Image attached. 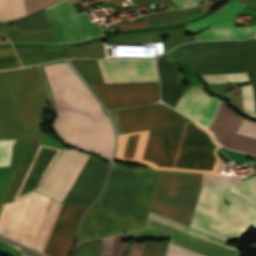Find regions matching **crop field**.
<instances>
[{
	"label": "crop field",
	"mask_w": 256,
	"mask_h": 256,
	"mask_svg": "<svg viewBox=\"0 0 256 256\" xmlns=\"http://www.w3.org/2000/svg\"><path fill=\"white\" fill-rule=\"evenodd\" d=\"M219 144L205 128L185 124L119 135L116 160L141 162L152 169L214 173ZM216 174H225L219 159Z\"/></svg>",
	"instance_id": "crop-field-2"
},
{
	"label": "crop field",
	"mask_w": 256,
	"mask_h": 256,
	"mask_svg": "<svg viewBox=\"0 0 256 256\" xmlns=\"http://www.w3.org/2000/svg\"><path fill=\"white\" fill-rule=\"evenodd\" d=\"M0 43H4V42H0Z\"/></svg>",
	"instance_id": "crop-field-45"
},
{
	"label": "crop field",
	"mask_w": 256,
	"mask_h": 256,
	"mask_svg": "<svg viewBox=\"0 0 256 256\" xmlns=\"http://www.w3.org/2000/svg\"><path fill=\"white\" fill-rule=\"evenodd\" d=\"M137 236L168 237L171 238L170 245L203 256H239L237 248L223 245L225 241L151 212L145 228L126 232L124 235ZM170 245L166 256H200Z\"/></svg>",
	"instance_id": "crop-field-6"
},
{
	"label": "crop field",
	"mask_w": 256,
	"mask_h": 256,
	"mask_svg": "<svg viewBox=\"0 0 256 256\" xmlns=\"http://www.w3.org/2000/svg\"><path fill=\"white\" fill-rule=\"evenodd\" d=\"M89 207L64 204L44 253L49 256H69L78 223Z\"/></svg>",
	"instance_id": "crop-field-14"
},
{
	"label": "crop field",
	"mask_w": 256,
	"mask_h": 256,
	"mask_svg": "<svg viewBox=\"0 0 256 256\" xmlns=\"http://www.w3.org/2000/svg\"><path fill=\"white\" fill-rule=\"evenodd\" d=\"M47 94L38 66L0 72V139H19L41 127Z\"/></svg>",
	"instance_id": "crop-field-5"
},
{
	"label": "crop field",
	"mask_w": 256,
	"mask_h": 256,
	"mask_svg": "<svg viewBox=\"0 0 256 256\" xmlns=\"http://www.w3.org/2000/svg\"><path fill=\"white\" fill-rule=\"evenodd\" d=\"M10 23L13 26L0 24V31L12 42L58 43L44 9Z\"/></svg>",
	"instance_id": "crop-field-16"
},
{
	"label": "crop field",
	"mask_w": 256,
	"mask_h": 256,
	"mask_svg": "<svg viewBox=\"0 0 256 256\" xmlns=\"http://www.w3.org/2000/svg\"><path fill=\"white\" fill-rule=\"evenodd\" d=\"M115 7L122 5L120 0H112Z\"/></svg>",
	"instance_id": "crop-field-43"
},
{
	"label": "crop field",
	"mask_w": 256,
	"mask_h": 256,
	"mask_svg": "<svg viewBox=\"0 0 256 256\" xmlns=\"http://www.w3.org/2000/svg\"><path fill=\"white\" fill-rule=\"evenodd\" d=\"M175 3H177L181 8L188 7L192 5H196L208 0H173Z\"/></svg>",
	"instance_id": "crop-field-40"
},
{
	"label": "crop field",
	"mask_w": 256,
	"mask_h": 256,
	"mask_svg": "<svg viewBox=\"0 0 256 256\" xmlns=\"http://www.w3.org/2000/svg\"><path fill=\"white\" fill-rule=\"evenodd\" d=\"M105 83L158 81L154 59L98 61Z\"/></svg>",
	"instance_id": "crop-field-13"
},
{
	"label": "crop field",
	"mask_w": 256,
	"mask_h": 256,
	"mask_svg": "<svg viewBox=\"0 0 256 256\" xmlns=\"http://www.w3.org/2000/svg\"><path fill=\"white\" fill-rule=\"evenodd\" d=\"M57 206H58V202L55 201L54 204H53V206H52V209H51V211H50V214H49V216H48V218H47V221H46V223H45V225H44V228H43V230H42V233H41V235H40V237H39V241H38V243H37V245H36V249H38V250H40V247H41V245H42V242H43V240H44V237H45V235H46V232H47V230H48V227H49V225H50V222H51V220H52V218H53V215H54V213H55V210H56Z\"/></svg>",
	"instance_id": "crop-field-34"
},
{
	"label": "crop field",
	"mask_w": 256,
	"mask_h": 256,
	"mask_svg": "<svg viewBox=\"0 0 256 256\" xmlns=\"http://www.w3.org/2000/svg\"><path fill=\"white\" fill-rule=\"evenodd\" d=\"M16 140H0V166H10L12 145Z\"/></svg>",
	"instance_id": "crop-field-29"
},
{
	"label": "crop field",
	"mask_w": 256,
	"mask_h": 256,
	"mask_svg": "<svg viewBox=\"0 0 256 256\" xmlns=\"http://www.w3.org/2000/svg\"><path fill=\"white\" fill-rule=\"evenodd\" d=\"M242 119L222 101L209 129L222 145L256 155V139L235 134Z\"/></svg>",
	"instance_id": "crop-field-15"
},
{
	"label": "crop field",
	"mask_w": 256,
	"mask_h": 256,
	"mask_svg": "<svg viewBox=\"0 0 256 256\" xmlns=\"http://www.w3.org/2000/svg\"><path fill=\"white\" fill-rule=\"evenodd\" d=\"M168 242L147 241L143 256H165Z\"/></svg>",
	"instance_id": "crop-field-27"
},
{
	"label": "crop field",
	"mask_w": 256,
	"mask_h": 256,
	"mask_svg": "<svg viewBox=\"0 0 256 256\" xmlns=\"http://www.w3.org/2000/svg\"><path fill=\"white\" fill-rule=\"evenodd\" d=\"M238 191L244 193L245 195L256 201V176L242 181L238 188Z\"/></svg>",
	"instance_id": "crop-field-30"
},
{
	"label": "crop field",
	"mask_w": 256,
	"mask_h": 256,
	"mask_svg": "<svg viewBox=\"0 0 256 256\" xmlns=\"http://www.w3.org/2000/svg\"><path fill=\"white\" fill-rule=\"evenodd\" d=\"M145 242H143L141 244L135 243L134 248H133L130 256H142L144 246H145Z\"/></svg>",
	"instance_id": "crop-field-41"
},
{
	"label": "crop field",
	"mask_w": 256,
	"mask_h": 256,
	"mask_svg": "<svg viewBox=\"0 0 256 256\" xmlns=\"http://www.w3.org/2000/svg\"><path fill=\"white\" fill-rule=\"evenodd\" d=\"M112 237L103 239L104 248H103L102 256H110L111 255V253H112Z\"/></svg>",
	"instance_id": "crop-field-39"
},
{
	"label": "crop field",
	"mask_w": 256,
	"mask_h": 256,
	"mask_svg": "<svg viewBox=\"0 0 256 256\" xmlns=\"http://www.w3.org/2000/svg\"><path fill=\"white\" fill-rule=\"evenodd\" d=\"M54 6L71 42L81 41L100 35L102 28L97 23L91 22L85 11L77 14L67 0L54 4ZM54 6L52 5L45 10L53 25L58 42H70Z\"/></svg>",
	"instance_id": "crop-field-11"
},
{
	"label": "crop field",
	"mask_w": 256,
	"mask_h": 256,
	"mask_svg": "<svg viewBox=\"0 0 256 256\" xmlns=\"http://www.w3.org/2000/svg\"><path fill=\"white\" fill-rule=\"evenodd\" d=\"M57 117L54 130L68 145L111 159L114 132L100 104L67 63L44 66Z\"/></svg>",
	"instance_id": "crop-field-3"
},
{
	"label": "crop field",
	"mask_w": 256,
	"mask_h": 256,
	"mask_svg": "<svg viewBox=\"0 0 256 256\" xmlns=\"http://www.w3.org/2000/svg\"><path fill=\"white\" fill-rule=\"evenodd\" d=\"M131 1L133 3L134 7L141 6L143 4H150V3L159 2V1H166L169 9L179 8L177 5H175L170 0H131Z\"/></svg>",
	"instance_id": "crop-field-37"
},
{
	"label": "crop field",
	"mask_w": 256,
	"mask_h": 256,
	"mask_svg": "<svg viewBox=\"0 0 256 256\" xmlns=\"http://www.w3.org/2000/svg\"><path fill=\"white\" fill-rule=\"evenodd\" d=\"M158 68L162 83V101L175 108L184 89L179 86L173 61L164 55L158 60Z\"/></svg>",
	"instance_id": "crop-field-18"
},
{
	"label": "crop field",
	"mask_w": 256,
	"mask_h": 256,
	"mask_svg": "<svg viewBox=\"0 0 256 256\" xmlns=\"http://www.w3.org/2000/svg\"><path fill=\"white\" fill-rule=\"evenodd\" d=\"M127 243L122 244V234L114 236L112 256H121L127 246Z\"/></svg>",
	"instance_id": "crop-field-35"
},
{
	"label": "crop field",
	"mask_w": 256,
	"mask_h": 256,
	"mask_svg": "<svg viewBox=\"0 0 256 256\" xmlns=\"http://www.w3.org/2000/svg\"><path fill=\"white\" fill-rule=\"evenodd\" d=\"M202 13H204V11L199 6H196L189 9H180L155 13L154 15L149 16L146 19L151 26L157 24H166L188 20Z\"/></svg>",
	"instance_id": "crop-field-21"
},
{
	"label": "crop field",
	"mask_w": 256,
	"mask_h": 256,
	"mask_svg": "<svg viewBox=\"0 0 256 256\" xmlns=\"http://www.w3.org/2000/svg\"><path fill=\"white\" fill-rule=\"evenodd\" d=\"M88 158L85 153L64 147L36 191L63 202Z\"/></svg>",
	"instance_id": "crop-field-9"
},
{
	"label": "crop field",
	"mask_w": 256,
	"mask_h": 256,
	"mask_svg": "<svg viewBox=\"0 0 256 256\" xmlns=\"http://www.w3.org/2000/svg\"><path fill=\"white\" fill-rule=\"evenodd\" d=\"M256 38V37H255Z\"/></svg>",
	"instance_id": "crop-field-47"
},
{
	"label": "crop field",
	"mask_w": 256,
	"mask_h": 256,
	"mask_svg": "<svg viewBox=\"0 0 256 256\" xmlns=\"http://www.w3.org/2000/svg\"><path fill=\"white\" fill-rule=\"evenodd\" d=\"M210 99L195 85L184 90L175 109L199 122Z\"/></svg>",
	"instance_id": "crop-field-19"
},
{
	"label": "crop field",
	"mask_w": 256,
	"mask_h": 256,
	"mask_svg": "<svg viewBox=\"0 0 256 256\" xmlns=\"http://www.w3.org/2000/svg\"><path fill=\"white\" fill-rule=\"evenodd\" d=\"M252 86H253L254 100H255V107H256V84H254ZM241 90H242V95H243L244 110L255 112L251 85L243 86V87H241Z\"/></svg>",
	"instance_id": "crop-field-28"
},
{
	"label": "crop field",
	"mask_w": 256,
	"mask_h": 256,
	"mask_svg": "<svg viewBox=\"0 0 256 256\" xmlns=\"http://www.w3.org/2000/svg\"><path fill=\"white\" fill-rule=\"evenodd\" d=\"M119 134L191 123L163 104H151L112 112Z\"/></svg>",
	"instance_id": "crop-field-8"
},
{
	"label": "crop field",
	"mask_w": 256,
	"mask_h": 256,
	"mask_svg": "<svg viewBox=\"0 0 256 256\" xmlns=\"http://www.w3.org/2000/svg\"><path fill=\"white\" fill-rule=\"evenodd\" d=\"M159 172L113 163L102 200L83 221L79 243L144 227Z\"/></svg>",
	"instance_id": "crop-field-4"
},
{
	"label": "crop field",
	"mask_w": 256,
	"mask_h": 256,
	"mask_svg": "<svg viewBox=\"0 0 256 256\" xmlns=\"http://www.w3.org/2000/svg\"><path fill=\"white\" fill-rule=\"evenodd\" d=\"M116 26L119 28V30H125V29L137 28V27H145L149 25L146 21H141V22L117 24Z\"/></svg>",
	"instance_id": "crop-field-38"
},
{
	"label": "crop field",
	"mask_w": 256,
	"mask_h": 256,
	"mask_svg": "<svg viewBox=\"0 0 256 256\" xmlns=\"http://www.w3.org/2000/svg\"><path fill=\"white\" fill-rule=\"evenodd\" d=\"M219 101H220L219 99L212 97V100H211L207 110L205 111V113L200 121V124H202L204 126H207L209 124V122L211 121V119L217 109Z\"/></svg>",
	"instance_id": "crop-field-31"
},
{
	"label": "crop field",
	"mask_w": 256,
	"mask_h": 256,
	"mask_svg": "<svg viewBox=\"0 0 256 256\" xmlns=\"http://www.w3.org/2000/svg\"><path fill=\"white\" fill-rule=\"evenodd\" d=\"M237 134L256 138V124L244 119Z\"/></svg>",
	"instance_id": "crop-field-33"
},
{
	"label": "crop field",
	"mask_w": 256,
	"mask_h": 256,
	"mask_svg": "<svg viewBox=\"0 0 256 256\" xmlns=\"http://www.w3.org/2000/svg\"><path fill=\"white\" fill-rule=\"evenodd\" d=\"M25 15L23 0H0V21Z\"/></svg>",
	"instance_id": "crop-field-23"
},
{
	"label": "crop field",
	"mask_w": 256,
	"mask_h": 256,
	"mask_svg": "<svg viewBox=\"0 0 256 256\" xmlns=\"http://www.w3.org/2000/svg\"><path fill=\"white\" fill-rule=\"evenodd\" d=\"M104 58V46H98V42L92 41L83 45L74 47H65V55L55 54H32L19 57L23 66L47 62L62 58Z\"/></svg>",
	"instance_id": "crop-field-17"
},
{
	"label": "crop field",
	"mask_w": 256,
	"mask_h": 256,
	"mask_svg": "<svg viewBox=\"0 0 256 256\" xmlns=\"http://www.w3.org/2000/svg\"><path fill=\"white\" fill-rule=\"evenodd\" d=\"M57 0H24L26 14L42 8Z\"/></svg>",
	"instance_id": "crop-field-32"
},
{
	"label": "crop field",
	"mask_w": 256,
	"mask_h": 256,
	"mask_svg": "<svg viewBox=\"0 0 256 256\" xmlns=\"http://www.w3.org/2000/svg\"><path fill=\"white\" fill-rule=\"evenodd\" d=\"M11 51H14L12 47H0V70L21 67L18 58Z\"/></svg>",
	"instance_id": "crop-field-25"
},
{
	"label": "crop field",
	"mask_w": 256,
	"mask_h": 256,
	"mask_svg": "<svg viewBox=\"0 0 256 256\" xmlns=\"http://www.w3.org/2000/svg\"><path fill=\"white\" fill-rule=\"evenodd\" d=\"M244 7L246 5L232 0L226 6L206 18L187 24V27L195 33L211 24L213 25L194 36L197 40L241 39L251 37L256 32V25L238 28L234 26V15Z\"/></svg>",
	"instance_id": "crop-field-10"
},
{
	"label": "crop field",
	"mask_w": 256,
	"mask_h": 256,
	"mask_svg": "<svg viewBox=\"0 0 256 256\" xmlns=\"http://www.w3.org/2000/svg\"><path fill=\"white\" fill-rule=\"evenodd\" d=\"M249 117H251V118H255L256 119V115H252V114H250V116Z\"/></svg>",
	"instance_id": "crop-field-44"
},
{
	"label": "crop field",
	"mask_w": 256,
	"mask_h": 256,
	"mask_svg": "<svg viewBox=\"0 0 256 256\" xmlns=\"http://www.w3.org/2000/svg\"><path fill=\"white\" fill-rule=\"evenodd\" d=\"M246 58L251 83H256V39L240 42Z\"/></svg>",
	"instance_id": "crop-field-24"
},
{
	"label": "crop field",
	"mask_w": 256,
	"mask_h": 256,
	"mask_svg": "<svg viewBox=\"0 0 256 256\" xmlns=\"http://www.w3.org/2000/svg\"><path fill=\"white\" fill-rule=\"evenodd\" d=\"M207 83L249 81L247 73L202 76Z\"/></svg>",
	"instance_id": "crop-field-26"
},
{
	"label": "crop field",
	"mask_w": 256,
	"mask_h": 256,
	"mask_svg": "<svg viewBox=\"0 0 256 256\" xmlns=\"http://www.w3.org/2000/svg\"><path fill=\"white\" fill-rule=\"evenodd\" d=\"M133 244H134L133 242H129V244H128V246H127V248H126V250H125L123 256H129L130 251H131V249H132V247H133Z\"/></svg>",
	"instance_id": "crop-field-42"
},
{
	"label": "crop field",
	"mask_w": 256,
	"mask_h": 256,
	"mask_svg": "<svg viewBox=\"0 0 256 256\" xmlns=\"http://www.w3.org/2000/svg\"><path fill=\"white\" fill-rule=\"evenodd\" d=\"M201 180L202 174L161 171L150 211L189 226ZM240 181V176L203 174L190 226L223 240L256 227V203L234 190Z\"/></svg>",
	"instance_id": "crop-field-1"
},
{
	"label": "crop field",
	"mask_w": 256,
	"mask_h": 256,
	"mask_svg": "<svg viewBox=\"0 0 256 256\" xmlns=\"http://www.w3.org/2000/svg\"><path fill=\"white\" fill-rule=\"evenodd\" d=\"M72 63L88 84L104 83L97 61L75 60Z\"/></svg>",
	"instance_id": "crop-field-22"
},
{
	"label": "crop field",
	"mask_w": 256,
	"mask_h": 256,
	"mask_svg": "<svg viewBox=\"0 0 256 256\" xmlns=\"http://www.w3.org/2000/svg\"><path fill=\"white\" fill-rule=\"evenodd\" d=\"M169 55L201 75L248 72L239 41L190 44Z\"/></svg>",
	"instance_id": "crop-field-7"
},
{
	"label": "crop field",
	"mask_w": 256,
	"mask_h": 256,
	"mask_svg": "<svg viewBox=\"0 0 256 256\" xmlns=\"http://www.w3.org/2000/svg\"><path fill=\"white\" fill-rule=\"evenodd\" d=\"M108 110L156 103L158 82L90 85Z\"/></svg>",
	"instance_id": "crop-field-12"
},
{
	"label": "crop field",
	"mask_w": 256,
	"mask_h": 256,
	"mask_svg": "<svg viewBox=\"0 0 256 256\" xmlns=\"http://www.w3.org/2000/svg\"><path fill=\"white\" fill-rule=\"evenodd\" d=\"M1 207V206H0Z\"/></svg>",
	"instance_id": "crop-field-46"
},
{
	"label": "crop field",
	"mask_w": 256,
	"mask_h": 256,
	"mask_svg": "<svg viewBox=\"0 0 256 256\" xmlns=\"http://www.w3.org/2000/svg\"><path fill=\"white\" fill-rule=\"evenodd\" d=\"M19 56L31 54V53H44L45 47H28V46H19L15 47Z\"/></svg>",
	"instance_id": "crop-field-36"
},
{
	"label": "crop field",
	"mask_w": 256,
	"mask_h": 256,
	"mask_svg": "<svg viewBox=\"0 0 256 256\" xmlns=\"http://www.w3.org/2000/svg\"><path fill=\"white\" fill-rule=\"evenodd\" d=\"M183 30H187L185 25L168 29L123 33L106 38V44H125L135 42L156 41L161 40L160 37L162 36L171 35L175 32Z\"/></svg>",
	"instance_id": "crop-field-20"
}]
</instances>
